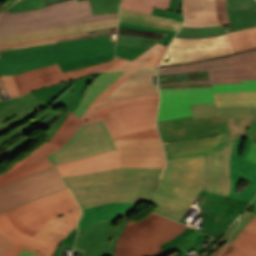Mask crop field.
I'll return each mask as SVG.
<instances>
[{
	"label": "crop field",
	"mask_w": 256,
	"mask_h": 256,
	"mask_svg": "<svg viewBox=\"0 0 256 256\" xmlns=\"http://www.w3.org/2000/svg\"><path fill=\"white\" fill-rule=\"evenodd\" d=\"M250 205L256 208V198L252 201Z\"/></svg>",
	"instance_id": "crop-field-67"
},
{
	"label": "crop field",
	"mask_w": 256,
	"mask_h": 256,
	"mask_svg": "<svg viewBox=\"0 0 256 256\" xmlns=\"http://www.w3.org/2000/svg\"><path fill=\"white\" fill-rule=\"evenodd\" d=\"M6 239H8L14 245L8 250V252L4 256H18L24 248H26V249H28V250L38 254L39 256L43 255V253H41L39 251H36V250H34V249H32V248H30V247H28V246L18 242V241L10 238L9 236L6 237Z\"/></svg>",
	"instance_id": "crop-field-48"
},
{
	"label": "crop field",
	"mask_w": 256,
	"mask_h": 256,
	"mask_svg": "<svg viewBox=\"0 0 256 256\" xmlns=\"http://www.w3.org/2000/svg\"><path fill=\"white\" fill-rule=\"evenodd\" d=\"M254 213H256V210L255 211H253Z\"/></svg>",
	"instance_id": "crop-field-68"
},
{
	"label": "crop field",
	"mask_w": 256,
	"mask_h": 256,
	"mask_svg": "<svg viewBox=\"0 0 256 256\" xmlns=\"http://www.w3.org/2000/svg\"><path fill=\"white\" fill-rule=\"evenodd\" d=\"M254 135H256V118L253 121L250 129L248 130V138H250V137H252Z\"/></svg>",
	"instance_id": "crop-field-64"
},
{
	"label": "crop field",
	"mask_w": 256,
	"mask_h": 256,
	"mask_svg": "<svg viewBox=\"0 0 256 256\" xmlns=\"http://www.w3.org/2000/svg\"><path fill=\"white\" fill-rule=\"evenodd\" d=\"M189 106L194 119L213 115H256V106L215 108L214 102Z\"/></svg>",
	"instance_id": "crop-field-34"
},
{
	"label": "crop field",
	"mask_w": 256,
	"mask_h": 256,
	"mask_svg": "<svg viewBox=\"0 0 256 256\" xmlns=\"http://www.w3.org/2000/svg\"><path fill=\"white\" fill-rule=\"evenodd\" d=\"M117 24L118 18H115L103 21L0 36V48L78 35L85 36L95 34L96 36H100L106 34H113L117 31Z\"/></svg>",
	"instance_id": "crop-field-13"
},
{
	"label": "crop field",
	"mask_w": 256,
	"mask_h": 256,
	"mask_svg": "<svg viewBox=\"0 0 256 256\" xmlns=\"http://www.w3.org/2000/svg\"><path fill=\"white\" fill-rule=\"evenodd\" d=\"M239 223V220H236L228 229V231L221 237V239L215 244L213 245L211 248H209L207 251L203 252L202 256H209L211 253H213L217 248H219L223 243H225L228 239V236L230 235V233L232 232V230L237 226V224Z\"/></svg>",
	"instance_id": "crop-field-52"
},
{
	"label": "crop field",
	"mask_w": 256,
	"mask_h": 256,
	"mask_svg": "<svg viewBox=\"0 0 256 256\" xmlns=\"http://www.w3.org/2000/svg\"><path fill=\"white\" fill-rule=\"evenodd\" d=\"M181 5H182V0H171L170 7L168 10L179 13L181 9Z\"/></svg>",
	"instance_id": "crop-field-59"
},
{
	"label": "crop field",
	"mask_w": 256,
	"mask_h": 256,
	"mask_svg": "<svg viewBox=\"0 0 256 256\" xmlns=\"http://www.w3.org/2000/svg\"><path fill=\"white\" fill-rule=\"evenodd\" d=\"M81 215L78 208L68 212L57 220L51 219L33 237L16 228L4 213L0 214V233L19 240L43 253V256H52L59 243L77 226L76 223Z\"/></svg>",
	"instance_id": "crop-field-10"
},
{
	"label": "crop field",
	"mask_w": 256,
	"mask_h": 256,
	"mask_svg": "<svg viewBox=\"0 0 256 256\" xmlns=\"http://www.w3.org/2000/svg\"><path fill=\"white\" fill-rule=\"evenodd\" d=\"M157 41V39L118 34L116 45L147 50L148 48L156 44Z\"/></svg>",
	"instance_id": "crop-field-42"
},
{
	"label": "crop field",
	"mask_w": 256,
	"mask_h": 256,
	"mask_svg": "<svg viewBox=\"0 0 256 256\" xmlns=\"http://www.w3.org/2000/svg\"><path fill=\"white\" fill-rule=\"evenodd\" d=\"M151 14L183 21V14H178L163 9L154 8Z\"/></svg>",
	"instance_id": "crop-field-55"
},
{
	"label": "crop field",
	"mask_w": 256,
	"mask_h": 256,
	"mask_svg": "<svg viewBox=\"0 0 256 256\" xmlns=\"http://www.w3.org/2000/svg\"><path fill=\"white\" fill-rule=\"evenodd\" d=\"M119 27L138 28V29L151 30V31L163 32V33H167L168 32L166 30H160V29H154V28L130 25V24H122V23H119Z\"/></svg>",
	"instance_id": "crop-field-58"
},
{
	"label": "crop field",
	"mask_w": 256,
	"mask_h": 256,
	"mask_svg": "<svg viewBox=\"0 0 256 256\" xmlns=\"http://www.w3.org/2000/svg\"><path fill=\"white\" fill-rule=\"evenodd\" d=\"M159 176H133L128 179L91 186L70 188L81 208L110 202H136L123 217H127L139 202H147Z\"/></svg>",
	"instance_id": "crop-field-6"
},
{
	"label": "crop field",
	"mask_w": 256,
	"mask_h": 256,
	"mask_svg": "<svg viewBox=\"0 0 256 256\" xmlns=\"http://www.w3.org/2000/svg\"><path fill=\"white\" fill-rule=\"evenodd\" d=\"M160 88H188V87H212V85H180V86H159Z\"/></svg>",
	"instance_id": "crop-field-63"
},
{
	"label": "crop field",
	"mask_w": 256,
	"mask_h": 256,
	"mask_svg": "<svg viewBox=\"0 0 256 256\" xmlns=\"http://www.w3.org/2000/svg\"><path fill=\"white\" fill-rule=\"evenodd\" d=\"M3 88L9 98L20 95L14 81L13 75L0 76Z\"/></svg>",
	"instance_id": "crop-field-46"
},
{
	"label": "crop field",
	"mask_w": 256,
	"mask_h": 256,
	"mask_svg": "<svg viewBox=\"0 0 256 256\" xmlns=\"http://www.w3.org/2000/svg\"><path fill=\"white\" fill-rule=\"evenodd\" d=\"M93 36L94 35L86 36V37L78 36V37H72V38H66V39H60V40H53V41H47V42H41V43H35V44H28V45H22V46H16V47H9V48L0 49V51L12 50V49H20V48H26V47H33V46H39V45H45V44H51V43H57V42H63V41L82 39V38H89V37H93Z\"/></svg>",
	"instance_id": "crop-field-53"
},
{
	"label": "crop field",
	"mask_w": 256,
	"mask_h": 256,
	"mask_svg": "<svg viewBox=\"0 0 256 256\" xmlns=\"http://www.w3.org/2000/svg\"><path fill=\"white\" fill-rule=\"evenodd\" d=\"M229 54H232V51L226 34L210 38H174L164 58L173 61L160 64L161 66L183 64Z\"/></svg>",
	"instance_id": "crop-field-14"
},
{
	"label": "crop field",
	"mask_w": 256,
	"mask_h": 256,
	"mask_svg": "<svg viewBox=\"0 0 256 256\" xmlns=\"http://www.w3.org/2000/svg\"><path fill=\"white\" fill-rule=\"evenodd\" d=\"M250 90H256V80L241 81V84H214L213 88L160 89L157 121L192 115L188 104L212 102L213 92Z\"/></svg>",
	"instance_id": "crop-field-9"
},
{
	"label": "crop field",
	"mask_w": 256,
	"mask_h": 256,
	"mask_svg": "<svg viewBox=\"0 0 256 256\" xmlns=\"http://www.w3.org/2000/svg\"><path fill=\"white\" fill-rule=\"evenodd\" d=\"M156 112L157 109L105 120L104 123L111 136L122 135L155 127Z\"/></svg>",
	"instance_id": "crop-field-31"
},
{
	"label": "crop field",
	"mask_w": 256,
	"mask_h": 256,
	"mask_svg": "<svg viewBox=\"0 0 256 256\" xmlns=\"http://www.w3.org/2000/svg\"><path fill=\"white\" fill-rule=\"evenodd\" d=\"M176 34V32L174 31H169L162 40H160L158 43L163 44L165 46L168 45V43L170 42V40L174 37V35Z\"/></svg>",
	"instance_id": "crop-field-61"
},
{
	"label": "crop field",
	"mask_w": 256,
	"mask_h": 256,
	"mask_svg": "<svg viewBox=\"0 0 256 256\" xmlns=\"http://www.w3.org/2000/svg\"><path fill=\"white\" fill-rule=\"evenodd\" d=\"M134 203H110L94 206L83 210V215L78 223L81 230L99 220L110 217H122Z\"/></svg>",
	"instance_id": "crop-field-33"
},
{
	"label": "crop field",
	"mask_w": 256,
	"mask_h": 256,
	"mask_svg": "<svg viewBox=\"0 0 256 256\" xmlns=\"http://www.w3.org/2000/svg\"><path fill=\"white\" fill-rule=\"evenodd\" d=\"M78 207L68 189H65L4 213L16 227L33 236L52 217L56 219Z\"/></svg>",
	"instance_id": "crop-field-8"
},
{
	"label": "crop field",
	"mask_w": 256,
	"mask_h": 256,
	"mask_svg": "<svg viewBox=\"0 0 256 256\" xmlns=\"http://www.w3.org/2000/svg\"><path fill=\"white\" fill-rule=\"evenodd\" d=\"M227 243V242H226ZM226 243L223 244L219 249H217L213 254L210 256H218V254L223 250V248L226 246Z\"/></svg>",
	"instance_id": "crop-field-65"
},
{
	"label": "crop field",
	"mask_w": 256,
	"mask_h": 256,
	"mask_svg": "<svg viewBox=\"0 0 256 256\" xmlns=\"http://www.w3.org/2000/svg\"><path fill=\"white\" fill-rule=\"evenodd\" d=\"M165 48V46L157 43L132 62L115 56V58L112 61H108L103 64L94 65L75 71L65 72L64 75L66 76L67 80H69L97 71L124 70L145 66H157L163 57Z\"/></svg>",
	"instance_id": "crop-field-25"
},
{
	"label": "crop field",
	"mask_w": 256,
	"mask_h": 256,
	"mask_svg": "<svg viewBox=\"0 0 256 256\" xmlns=\"http://www.w3.org/2000/svg\"><path fill=\"white\" fill-rule=\"evenodd\" d=\"M183 11L184 26L210 27L228 25L226 0H185Z\"/></svg>",
	"instance_id": "crop-field-23"
},
{
	"label": "crop field",
	"mask_w": 256,
	"mask_h": 256,
	"mask_svg": "<svg viewBox=\"0 0 256 256\" xmlns=\"http://www.w3.org/2000/svg\"><path fill=\"white\" fill-rule=\"evenodd\" d=\"M244 233H246V235H244ZM232 244L241 249L231 256H256V216Z\"/></svg>",
	"instance_id": "crop-field-35"
},
{
	"label": "crop field",
	"mask_w": 256,
	"mask_h": 256,
	"mask_svg": "<svg viewBox=\"0 0 256 256\" xmlns=\"http://www.w3.org/2000/svg\"><path fill=\"white\" fill-rule=\"evenodd\" d=\"M99 73L73 80L75 83L70 88V90L65 95H63L61 99L59 98L60 100L52 105L50 108L54 109L56 107L62 106L66 108V110L72 112L73 109L79 104L87 85ZM71 82L72 81L45 87L31 93H33L43 103L48 105L53 99L59 96L69 86Z\"/></svg>",
	"instance_id": "crop-field-26"
},
{
	"label": "crop field",
	"mask_w": 256,
	"mask_h": 256,
	"mask_svg": "<svg viewBox=\"0 0 256 256\" xmlns=\"http://www.w3.org/2000/svg\"><path fill=\"white\" fill-rule=\"evenodd\" d=\"M117 219L102 220L79 231L74 247L86 249L85 256H114L116 243L129 220L124 218L118 227L112 226Z\"/></svg>",
	"instance_id": "crop-field-17"
},
{
	"label": "crop field",
	"mask_w": 256,
	"mask_h": 256,
	"mask_svg": "<svg viewBox=\"0 0 256 256\" xmlns=\"http://www.w3.org/2000/svg\"><path fill=\"white\" fill-rule=\"evenodd\" d=\"M115 17L118 13L93 15L89 0H68L33 11L4 13L0 18V35Z\"/></svg>",
	"instance_id": "crop-field-4"
},
{
	"label": "crop field",
	"mask_w": 256,
	"mask_h": 256,
	"mask_svg": "<svg viewBox=\"0 0 256 256\" xmlns=\"http://www.w3.org/2000/svg\"><path fill=\"white\" fill-rule=\"evenodd\" d=\"M204 70H207L210 80L159 85L240 83V80L256 79V50L191 64L159 67L158 74Z\"/></svg>",
	"instance_id": "crop-field-7"
},
{
	"label": "crop field",
	"mask_w": 256,
	"mask_h": 256,
	"mask_svg": "<svg viewBox=\"0 0 256 256\" xmlns=\"http://www.w3.org/2000/svg\"><path fill=\"white\" fill-rule=\"evenodd\" d=\"M93 14L118 12L121 0H90Z\"/></svg>",
	"instance_id": "crop-field-45"
},
{
	"label": "crop field",
	"mask_w": 256,
	"mask_h": 256,
	"mask_svg": "<svg viewBox=\"0 0 256 256\" xmlns=\"http://www.w3.org/2000/svg\"><path fill=\"white\" fill-rule=\"evenodd\" d=\"M248 159H250L251 161L255 162L256 163V139L247 155Z\"/></svg>",
	"instance_id": "crop-field-62"
},
{
	"label": "crop field",
	"mask_w": 256,
	"mask_h": 256,
	"mask_svg": "<svg viewBox=\"0 0 256 256\" xmlns=\"http://www.w3.org/2000/svg\"><path fill=\"white\" fill-rule=\"evenodd\" d=\"M153 137H159L156 128L146 129V130H142V131H138V132L122 135V136H116L112 138L123 139V138H153Z\"/></svg>",
	"instance_id": "crop-field-49"
},
{
	"label": "crop field",
	"mask_w": 256,
	"mask_h": 256,
	"mask_svg": "<svg viewBox=\"0 0 256 256\" xmlns=\"http://www.w3.org/2000/svg\"><path fill=\"white\" fill-rule=\"evenodd\" d=\"M216 107L256 105V91L214 93Z\"/></svg>",
	"instance_id": "crop-field-36"
},
{
	"label": "crop field",
	"mask_w": 256,
	"mask_h": 256,
	"mask_svg": "<svg viewBox=\"0 0 256 256\" xmlns=\"http://www.w3.org/2000/svg\"><path fill=\"white\" fill-rule=\"evenodd\" d=\"M238 249L240 248L228 243L226 249L223 251V253L220 256H230L231 254L236 252Z\"/></svg>",
	"instance_id": "crop-field-60"
},
{
	"label": "crop field",
	"mask_w": 256,
	"mask_h": 256,
	"mask_svg": "<svg viewBox=\"0 0 256 256\" xmlns=\"http://www.w3.org/2000/svg\"><path fill=\"white\" fill-rule=\"evenodd\" d=\"M256 7L255 0H227V11H236Z\"/></svg>",
	"instance_id": "crop-field-47"
},
{
	"label": "crop field",
	"mask_w": 256,
	"mask_h": 256,
	"mask_svg": "<svg viewBox=\"0 0 256 256\" xmlns=\"http://www.w3.org/2000/svg\"><path fill=\"white\" fill-rule=\"evenodd\" d=\"M156 69L140 68L97 108L159 94Z\"/></svg>",
	"instance_id": "crop-field-22"
},
{
	"label": "crop field",
	"mask_w": 256,
	"mask_h": 256,
	"mask_svg": "<svg viewBox=\"0 0 256 256\" xmlns=\"http://www.w3.org/2000/svg\"><path fill=\"white\" fill-rule=\"evenodd\" d=\"M231 26L234 31L256 27V10L247 9L228 13Z\"/></svg>",
	"instance_id": "crop-field-39"
},
{
	"label": "crop field",
	"mask_w": 256,
	"mask_h": 256,
	"mask_svg": "<svg viewBox=\"0 0 256 256\" xmlns=\"http://www.w3.org/2000/svg\"><path fill=\"white\" fill-rule=\"evenodd\" d=\"M255 137L248 140L243 157L239 156L242 139L235 140L234 142L230 160L231 197L251 201L256 195V164L245 158Z\"/></svg>",
	"instance_id": "crop-field-20"
},
{
	"label": "crop field",
	"mask_w": 256,
	"mask_h": 256,
	"mask_svg": "<svg viewBox=\"0 0 256 256\" xmlns=\"http://www.w3.org/2000/svg\"><path fill=\"white\" fill-rule=\"evenodd\" d=\"M158 102L159 95L99 108L95 110V112L90 116L87 121L71 113L62 124V126L54 134V136L51 138L49 143L61 147L67 142V140L76 132V130L81 125L155 109L157 108Z\"/></svg>",
	"instance_id": "crop-field-15"
},
{
	"label": "crop field",
	"mask_w": 256,
	"mask_h": 256,
	"mask_svg": "<svg viewBox=\"0 0 256 256\" xmlns=\"http://www.w3.org/2000/svg\"><path fill=\"white\" fill-rule=\"evenodd\" d=\"M224 135L186 141L163 142L167 158L188 157L213 151L223 145Z\"/></svg>",
	"instance_id": "crop-field-27"
},
{
	"label": "crop field",
	"mask_w": 256,
	"mask_h": 256,
	"mask_svg": "<svg viewBox=\"0 0 256 256\" xmlns=\"http://www.w3.org/2000/svg\"><path fill=\"white\" fill-rule=\"evenodd\" d=\"M170 0H123L122 8L150 14L152 7L168 9Z\"/></svg>",
	"instance_id": "crop-field-40"
},
{
	"label": "crop field",
	"mask_w": 256,
	"mask_h": 256,
	"mask_svg": "<svg viewBox=\"0 0 256 256\" xmlns=\"http://www.w3.org/2000/svg\"><path fill=\"white\" fill-rule=\"evenodd\" d=\"M164 169V168H163ZM162 168H117L63 177L68 187L122 179L134 174H160Z\"/></svg>",
	"instance_id": "crop-field-28"
},
{
	"label": "crop field",
	"mask_w": 256,
	"mask_h": 256,
	"mask_svg": "<svg viewBox=\"0 0 256 256\" xmlns=\"http://www.w3.org/2000/svg\"><path fill=\"white\" fill-rule=\"evenodd\" d=\"M233 142L205 156L167 160L150 201L158 205L154 212L180 221L201 189L228 196Z\"/></svg>",
	"instance_id": "crop-field-1"
},
{
	"label": "crop field",
	"mask_w": 256,
	"mask_h": 256,
	"mask_svg": "<svg viewBox=\"0 0 256 256\" xmlns=\"http://www.w3.org/2000/svg\"><path fill=\"white\" fill-rule=\"evenodd\" d=\"M209 79L207 72H195V73H180V74H165L158 75V82H178V81H190V80H203Z\"/></svg>",
	"instance_id": "crop-field-43"
},
{
	"label": "crop field",
	"mask_w": 256,
	"mask_h": 256,
	"mask_svg": "<svg viewBox=\"0 0 256 256\" xmlns=\"http://www.w3.org/2000/svg\"><path fill=\"white\" fill-rule=\"evenodd\" d=\"M47 107L31 93L0 101V134L8 131L41 108Z\"/></svg>",
	"instance_id": "crop-field-24"
},
{
	"label": "crop field",
	"mask_w": 256,
	"mask_h": 256,
	"mask_svg": "<svg viewBox=\"0 0 256 256\" xmlns=\"http://www.w3.org/2000/svg\"><path fill=\"white\" fill-rule=\"evenodd\" d=\"M1 99V98H0Z\"/></svg>",
	"instance_id": "crop-field-70"
},
{
	"label": "crop field",
	"mask_w": 256,
	"mask_h": 256,
	"mask_svg": "<svg viewBox=\"0 0 256 256\" xmlns=\"http://www.w3.org/2000/svg\"><path fill=\"white\" fill-rule=\"evenodd\" d=\"M116 34L0 52V75L58 63L62 72L113 59Z\"/></svg>",
	"instance_id": "crop-field-2"
},
{
	"label": "crop field",
	"mask_w": 256,
	"mask_h": 256,
	"mask_svg": "<svg viewBox=\"0 0 256 256\" xmlns=\"http://www.w3.org/2000/svg\"><path fill=\"white\" fill-rule=\"evenodd\" d=\"M24 125L16 128L0 139V161L11 158L24 148L32 139L24 137L35 128H49L46 141L48 142L56 130L61 126L70 112L57 114L49 107Z\"/></svg>",
	"instance_id": "crop-field-18"
},
{
	"label": "crop field",
	"mask_w": 256,
	"mask_h": 256,
	"mask_svg": "<svg viewBox=\"0 0 256 256\" xmlns=\"http://www.w3.org/2000/svg\"><path fill=\"white\" fill-rule=\"evenodd\" d=\"M58 148L44 142L7 173L0 175V212L67 187L46 157Z\"/></svg>",
	"instance_id": "crop-field-3"
},
{
	"label": "crop field",
	"mask_w": 256,
	"mask_h": 256,
	"mask_svg": "<svg viewBox=\"0 0 256 256\" xmlns=\"http://www.w3.org/2000/svg\"><path fill=\"white\" fill-rule=\"evenodd\" d=\"M137 70L101 72L89 84L80 104L73 113L87 120L96 107Z\"/></svg>",
	"instance_id": "crop-field-21"
},
{
	"label": "crop field",
	"mask_w": 256,
	"mask_h": 256,
	"mask_svg": "<svg viewBox=\"0 0 256 256\" xmlns=\"http://www.w3.org/2000/svg\"><path fill=\"white\" fill-rule=\"evenodd\" d=\"M223 33H225L224 26L210 27V28L183 27L176 37H182V38L210 37V36H215Z\"/></svg>",
	"instance_id": "crop-field-41"
},
{
	"label": "crop field",
	"mask_w": 256,
	"mask_h": 256,
	"mask_svg": "<svg viewBox=\"0 0 256 256\" xmlns=\"http://www.w3.org/2000/svg\"><path fill=\"white\" fill-rule=\"evenodd\" d=\"M119 22L174 31H178L183 23L181 21L148 15L122 8H120Z\"/></svg>",
	"instance_id": "crop-field-32"
},
{
	"label": "crop field",
	"mask_w": 256,
	"mask_h": 256,
	"mask_svg": "<svg viewBox=\"0 0 256 256\" xmlns=\"http://www.w3.org/2000/svg\"><path fill=\"white\" fill-rule=\"evenodd\" d=\"M193 231H195V229H191V228H187L183 233H181L180 235H178L176 238H174L173 240H170L162 245H160L162 247L163 250L177 244L178 242H180L181 240H183L185 237H187L189 234H191Z\"/></svg>",
	"instance_id": "crop-field-54"
},
{
	"label": "crop field",
	"mask_w": 256,
	"mask_h": 256,
	"mask_svg": "<svg viewBox=\"0 0 256 256\" xmlns=\"http://www.w3.org/2000/svg\"><path fill=\"white\" fill-rule=\"evenodd\" d=\"M186 228L154 213L139 222L129 220L119 237L115 256H152L162 251L160 244L176 237Z\"/></svg>",
	"instance_id": "crop-field-5"
},
{
	"label": "crop field",
	"mask_w": 256,
	"mask_h": 256,
	"mask_svg": "<svg viewBox=\"0 0 256 256\" xmlns=\"http://www.w3.org/2000/svg\"><path fill=\"white\" fill-rule=\"evenodd\" d=\"M196 198L203 200L199 205L201 210L198 213V216L204 217L201 224L205 226L203 227L202 231L211 234L214 238H218L220 235H222L229 227V225L238 218L241 212L249 204L248 201H243L203 190H201ZM191 205L189 206L183 218L188 213ZM217 215L221 216L218 221L215 220ZM183 218L180 222L187 224V222L182 221Z\"/></svg>",
	"instance_id": "crop-field-12"
},
{
	"label": "crop field",
	"mask_w": 256,
	"mask_h": 256,
	"mask_svg": "<svg viewBox=\"0 0 256 256\" xmlns=\"http://www.w3.org/2000/svg\"><path fill=\"white\" fill-rule=\"evenodd\" d=\"M12 245L0 234V256H3Z\"/></svg>",
	"instance_id": "crop-field-57"
},
{
	"label": "crop field",
	"mask_w": 256,
	"mask_h": 256,
	"mask_svg": "<svg viewBox=\"0 0 256 256\" xmlns=\"http://www.w3.org/2000/svg\"><path fill=\"white\" fill-rule=\"evenodd\" d=\"M120 167L116 151L57 165L62 176Z\"/></svg>",
	"instance_id": "crop-field-30"
},
{
	"label": "crop field",
	"mask_w": 256,
	"mask_h": 256,
	"mask_svg": "<svg viewBox=\"0 0 256 256\" xmlns=\"http://www.w3.org/2000/svg\"><path fill=\"white\" fill-rule=\"evenodd\" d=\"M255 116H229L225 143L236 138H247V130Z\"/></svg>",
	"instance_id": "crop-field-38"
},
{
	"label": "crop field",
	"mask_w": 256,
	"mask_h": 256,
	"mask_svg": "<svg viewBox=\"0 0 256 256\" xmlns=\"http://www.w3.org/2000/svg\"><path fill=\"white\" fill-rule=\"evenodd\" d=\"M228 116H213L193 120L192 116L157 122L162 141L186 140L222 134Z\"/></svg>",
	"instance_id": "crop-field-16"
},
{
	"label": "crop field",
	"mask_w": 256,
	"mask_h": 256,
	"mask_svg": "<svg viewBox=\"0 0 256 256\" xmlns=\"http://www.w3.org/2000/svg\"><path fill=\"white\" fill-rule=\"evenodd\" d=\"M251 212V211H250ZM245 210V212L239 217L241 222L238 225V227L235 229V231L231 234L229 243H231L238 235L239 233L245 228V226L251 221V219L255 216V214L250 213Z\"/></svg>",
	"instance_id": "crop-field-51"
},
{
	"label": "crop field",
	"mask_w": 256,
	"mask_h": 256,
	"mask_svg": "<svg viewBox=\"0 0 256 256\" xmlns=\"http://www.w3.org/2000/svg\"><path fill=\"white\" fill-rule=\"evenodd\" d=\"M121 167H164L159 138L114 140Z\"/></svg>",
	"instance_id": "crop-field-19"
},
{
	"label": "crop field",
	"mask_w": 256,
	"mask_h": 256,
	"mask_svg": "<svg viewBox=\"0 0 256 256\" xmlns=\"http://www.w3.org/2000/svg\"><path fill=\"white\" fill-rule=\"evenodd\" d=\"M76 234H77V227L65 238L63 242H61L54 256H60L59 253L62 246L72 247L76 238Z\"/></svg>",
	"instance_id": "crop-field-56"
},
{
	"label": "crop field",
	"mask_w": 256,
	"mask_h": 256,
	"mask_svg": "<svg viewBox=\"0 0 256 256\" xmlns=\"http://www.w3.org/2000/svg\"><path fill=\"white\" fill-rule=\"evenodd\" d=\"M19 256H37V255H35V254H33V253L24 249Z\"/></svg>",
	"instance_id": "crop-field-66"
},
{
	"label": "crop field",
	"mask_w": 256,
	"mask_h": 256,
	"mask_svg": "<svg viewBox=\"0 0 256 256\" xmlns=\"http://www.w3.org/2000/svg\"><path fill=\"white\" fill-rule=\"evenodd\" d=\"M233 53L256 47V28L233 32L226 29ZM253 43V45H251Z\"/></svg>",
	"instance_id": "crop-field-37"
},
{
	"label": "crop field",
	"mask_w": 256,
	"mask_h": 256,
	"mask_svg": "<svg viewBox=\"0 0 256 256\" xmlns=\"http://www.w3.org/2000/svg\"><path fill=\"white\" fill-rule=\"evenodd\" d=\"M0 15H1V12H0Z\"/></svg>",
	"instance_id": "crop-field-69"
},
{
	"label": "crop field",
	"mask_w": 256,
	"mask_h": 256,
	"mask_svg": "<svg viewBox=\"0 0 256 256\" xmlns=\"http://www.w3.org/2000/svg\"><path fill=\"white\" fill-rule=\"evenodd\" d=\"M14 77L21 95L35 88L66 81L58 64L30 70Z\"/></svg>",
	"instance_id": "crop-field-29"
},
{
	"label": "crop field",
	"mask_w": 256,
	"mask_h": 256,
	"mask_svg": "<svg viewBox=\"0 0 256 256\" xmlns=\"http://www.w3.org/2000/svg\"><path fill=\"white\" fill-rule=\"evenodd\" d=\"M143 52L144 50L116 46L115 55L132 61Z\"/></svg>",
	"instance_id": "crop-field-50"
},
{
	"label": "crop field",
	"mask_w": 256,
	"mask_h": 256,
	"mask_svg": "<svg viewBox=\"0 0 256 256\" xmlns=\"http://www.w3.org/2000/svg\"><path fill=\"white\" fill-rule=\"evenodd\" d=\"M63 0H20L9 7L5 12L27 11L36 8L45 7L46 5L57 3Z\"/></svg>",
	"instance_id": "crop-field-44"
},
{
	"label": "crop field",
	"mask_w": 256,
	"mask_h": 256,
	"mask_svg": "<svg viewBox=\"0 0 256 256\" xmlns=\"http://www.w3.org/2000/svg\"><path fill=\"white\" fill-rule=\"evenodd\" d=\"M103 121L81 126L69 141L48 156L56 165L115 150Z\"/></svg>",
	"instance_id": "crop-field-11"
}]
</instances>
